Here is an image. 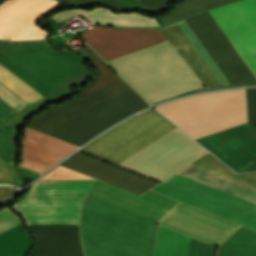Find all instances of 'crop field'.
Returning a JSON list of instances; mask_svg holds the SVG:
<instances>
[{"label":"crop field","mask_w":256,"mask_h":256,"mask_svg":"<svg viewBox=\"0 0 256 256\" xmlns=\"http://www.w3.org/2000/svg\"><path fill=\"white\" fill-rule=\"evenodd\" d=\"M189 237L166 227H158L153 256H186ZM213 246L190 237L187 256H212Z\"/></svg>","instance_id":"obj_15"},{"label":"crop field","mask_w":256,"mask_h":256,"mask_svg":"<svg viewBox=\"0 0 256 256\" xmlns=\"http://www.w3.org/2000/svg\"><path fill=\"white\" fill-rule=\"evenodd\" d=\"M94 180L38 181L14 203L25 224H79L80 209Z\"/></svg>","instance_id":"obj_10"},{"label":"crop field","mask_w":256,"mask_h":256,"mask_svg":"<svg viewBox=\"0 0 256 256\" xmlns=\"http://www.w3.org/2000/svg\"><path fill=\"white\" fill-rule=\"evenodd\" d=\"M16 189L12 187H5V186H0V200L8 196L9 194L15 192Z\"/></svg>","instance_id":"obj_23"},{"label":"crop field","mask_w":256,"mask_h":256,"mask_svg":"<svg viewBox=\"0 0 256 256\" xmlns=\"http://www.w3.org/2000/svg\"><path fill=\"white\" fill-rule=\"evenodd\" d=\"M174 127L150 109L113 127L82 151L117 164ZM206 152L176 127L118 165L162 181Z\"/></svg>","instance_id":"obj_3"},{"label":"crop field","mask_w":256,"mask_h":256,"mask_svg":"<svg viewBox=\"0 0 256 256\" xmlns=\"http://www.w3.org/2000/svg\"><path fill=\"white\" fill-rule=\"evenodd\" d=\"M66 4L72 5L74 7L85 5V4H106L115 9V11L120 10H135L117 0H58Z\"/></svg>","instance_id":"obj_19"},{"label":"crop field","mask_w":256,"mask_h":256,"mask_svg":"<svg viewBox=\"0 0 256 256\" xmlns=\"http://www.w3.org/2000/svg\"><path fill=\"white\" fill-rule=\"evenodd\" d=\"M21 224L18 216L8 208L0 211V233Z\"/></svg>","instance_id":"obj_20"},{"label":"crop field","mask_w":256,"mask_h":256,"mask_svg":"<svg viewBox=\"0 0 256 256\" xmlns=\"http://www.w3.org/2000/svg\"><path fill=\"white\" fill-rule=\"evenodd\" d=\"M58 1L10 0L0 7V38L9 40L41 39L47 31L35 26L37 20Z\"/></svg>","instance_id":"obj_13"},{"label":"crop field","mask_w":256,"mask_h":256,"mask_svg":"<svg viewBox=\"0 0 256 256\" xmlns=\"http://www.w3.org/2000/svg\"><path fill=\"white\" fill-rule=\"evenodd\" d=\"M83 14L88 17L92 23L109 24L117 26H159L155 19L138 14L123 13L112 14L105 8L93 10H69L52 16L57 22L71 17L73 15Z\"/></svg>","instance_id":"obj_16"},{"label":"crop field","mask_w":256,"mask_h":256,"mask_svg":"<svg viewBox=\"0 0 256 256\" xmlns=\"http://www.w3.org/2000/svg\"><path fill=\"white\" fill-rule=\"evenodd\" d=\"M196 141L236 172L256 170V129L248 122Z\"/></svg>","instance_id":"obj_12"},{"label":"crop field","mask_w":256,"mask_h":256,"mask_svg":"<svg viewBox=\"0 0 256 256\" xmlns=\"http://www.w3.org/2000/svg\"><path fill=\"white\" fill-rule=\"evenodd\" d=\"M0 83L27 104L43 97L0 65Z\"/></svg>","instance_id":"obj_18"},{"label":"crop field","mask_w":256,"mask_h":256,"mask_svg":"<svg viewBox=\"0 0 256 256\" xmlns=\"http://www.w3.org/2000/svg\"><path fill=\"white\" fill-rule=\"evenodd\" d=\"M170 0H138L140 4L151 12H160L166 9V3Z\"/></svg>","instance_id":"obj_22"},{"label":"crop field","mask_w":256,"mask_h":256,"mask_svg":"<svg viewBox=\"0 0 256 256\" xmlns=\"http://www.w3.org/2000/svg\"><path fill=\"white\" fill-rule=\"evenodd\" d=\"M247 108L248 122L256 127V88L247 89ZM247 108L242 89L187 97L156 110L196 139L246 122Z\"/></svg>","instance_id":"obj_8"},{"label":"crop field","mask_w":256,"mask_h":256,"mask_svg":"<svg viewBox=\"0 0 256 256\" xmlns=\"http://www.w3.org/2000/svg\"><path fill=\"white\" fill-rule=\"evenodd\" d=\"M16 112L0 99V157L10 165H13L15 161V128H10L2 124ZM1 158L0 165H9Z\"/></svg>","instance_id":"obj_17"},{"label":"crop field","mask_w":256,"mask_h":256,"mask_svg":"<svg viewBox=\"0 0 256 256\" xmlns=\"http://www.w3.org/2000/svg\"><path fill=\"white\" fill-rule=\"evenodd\" d=\"M193 164L256 188V172L236 175L210 153L178 172ZM195 165L182 173L256 202V189ZM182 173L152 190L256 231V203Z\"/></svg>","instance_id":"obj_5"},{"label":"crop field","mask_w":256,"mask_h":256,"mask_svg":"<svg viewBox=\"0 0 256 256\" xmlns=\"http://www.w3.org/2000/svg\"><path fill=\"white\" fill-rule=\"evenodd\" d=\"M256 77V0L209 11Z\"/></svg>","instance_id":"obj_11"},{"label":"crop field","mask_w":256,"mask_h":256,"mask_svg":"<svg viewBox=\"0 0 256 256\" xmlns=\"http://www.w3.org/2000/svg\"><path fill=\"white\" fill-rule=\"evenodd\" d=\"M0 98H2L5 102H7L10 106H12L17 111L26 105L1 85H0Z\"/></svg>","instance_id":"obj_21"},{"label":"crop field","mask_w":256,"mask_h":256,"mask_svg":"<svg viewBox=\"0 0 256 256\" xmlns=\"http://www.w3.org/2000/svg\"><path fill=\"white\" fill-rule=\"evenodd\" d=\"M186 20L232 85H256V78L209 12ZM186 20L160 29L203 85H231Z\"/></svg>","instance_id":"obj_6"},{"label":"crop field","mask_w":256,"mask_h":256,"mask_svg":"<svg viewBox=\"0 0 256 256\" xmlns=\"http://www.w3.org/2000/svg\"><path fill=\"white\" fill-rule=\"evenodd\" d=\"M98 74L82 95L31 119L27 126L77 146L121 119L148 107L88 46Z\"/></svg>","instance_id":"obj_4"},{"label":"crop field","mask_w":256,"mask_h":256,"mask_svg":"<svg viewBox=\"0 0 256 256\" xmlns=\"http://www.w3.org/2000/svg\"><path fill=\"white\" fill-rule=\"evenodd\" d=\"M60 166L82 173L121 189L142 194L157 183L134 175L77 152ZM58 166L41 180L92 179ZM96 181L90 197L158 222L178 201L146 191L137 196L106 183ZM158 224L217 246L239 225L179 202ZM217 256H256V232L240 226L221 244Z\"/></svg>","instance_id":"obj_1"},{"label":"crop field","mask_w":256,"mask_h":256,"mask_svg":"<svg viewBox=\"0 0 256 256\" xmlns=\"http://www.w3.org/2000/svg\"><path fill=\"white\" fill-rule=\"evenodd\" d=\"M23 156L51 167L75 150L76 146L26 127Z\"/></svg>","instance_id":"obj_14"},{"label":"crop field","mask_w":256,"mask_h":256,"mask_svg":"<svg viewBox=\"0 0 256 256\" xmlns=\"http://www.w3.org/2000/svg\"><path fill=\"white\" fill-rule=\"evenodd\" d=\"M156 226L88 197L80 223L85 256H151Z\"/></svg>","instance_id":"obj_7"},{"label":"crop field","mask_w":256,"mask_h":256,"mask_svg":"<svg viewBox=\"0 0 256 256\" xmlns=\"http://www.w3.org/2000/svg\"><path fill=\"white\" fill-rule=\"evenodd\" d=\"M106 62L167 41L159 28H100L80 35ZM149 104L203 86L169 41L108 62Z\"/></svg>","instance_id":"obj_2"},{"label":"crop field","mask_w":256,"mask_h":256,"mask_svg":"<svg viewBox=\"0 0 256 256\" xmlns=\"http://www.w3.org/2000/svg\"><path fill=\"white\" fill-rule=\"evenodd\" d=\"M65 49L54 51L45 39L0 41V64L44 96L83 66Z\"/></svg>","instance_id":"obj_9"}]
</instances>
